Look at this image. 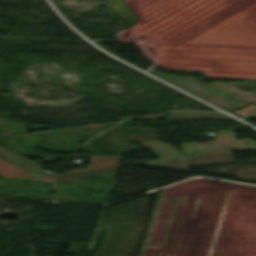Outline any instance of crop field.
Listing matches in <instances>:
<instances>
[{
  "label": "crop field",
  "mask_w": 256,
  "mask_h": 256,
  "mask_svg": "<svg viewBox=\"0 0 256 256\" xmlns=\"http://www.w3.org/2000/svg\"><path fill=\"white\" fill-rule=\"evenodd\" d=\"M214 137L215 142L181 143L183 154H179L167 143L162 144L160 141L140 143L155 156L162 158L149 161L148 165L187 172H189L187 167L191 166L234 161L231 150H256V142L235 140L233 131L219 132V135H214ZM203 143L206 144L203 145Z\"/></svg>",
  "instance_id": "1"
},
{
  "label": "crop field",
  "mask_w": 256,
  "mask_h": 256,
  "mask_svg": "<svg viewBox=\"0 0 256 256\" xmlns=\"http://www.w3.org/2000/svg\"><path fill=\"white\" fill-rule=\"evenodd\" d=\"M0 176L12 178H25L32 180L48 181L51 182L52 175L33 174L3 158L0 157Z\"/></svg>",
  "instance_id": "2"
},
{
  "label": "crop field",
  "mask_w": 256,
  "mask_h": 256,
  "mask_svg": "<svg viewBox=\"0 0 256 256\" xmlns=\"http://www.w3.org/2000/svg\"><path fill=\"white\" fill-rule=\"evenodd\" d=\"M120 160H121L120 157H113L112 155L90 156V164H87L88 169L70 171V172L68 171L69 173L67 174L106 168L111 166H117L120 164Z\"/></svg>",
  "instance_id": "3"
},
{
  "label": "crop field",
  "mask_w": 256,
  "mask_h": 256,
  "mask_svg": "<svg viewBox=\"0 0 256 256\" xmlns=\"http://www.w3.org/2000/svg\"><path fill=\"white\" fill-rule=\"evenodd\" d=\"M0 156L4 157L20 166H21V164H24V166H22V167H24L34 173L52 174V173L45 172L44 169H42L38 165L2 148L1 146H0Z\"/></svg>",
  "instance_id": "4"
},
{
  "label": "crop field",
  "mask_w": 256,
  "mask_h": 256,
  "mask_svg": "<svg viewBox=\"0 0 256 256\" xmlns=\"http://www.w3.org/2000/svg\"><path fill=\"white\" fill-rule=\"evenodd\" d=\"M118 167L116 168H110V169H104V170H98V171H92V172H87V173H82V174H76V175H71V176H55V182H60V181H66V180H72V179H77L81 177H86V176H101L109 180H114L116 176Z\"/></svg>",
  "instance_id": "5"
}]
</instances>
